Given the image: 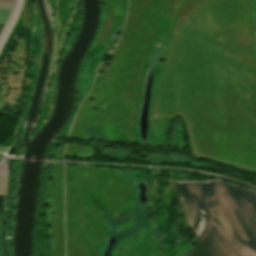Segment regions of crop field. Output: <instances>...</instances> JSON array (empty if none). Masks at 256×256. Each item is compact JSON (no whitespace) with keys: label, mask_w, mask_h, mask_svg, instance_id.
<instances>
[{"label":"crop field","mask_w":256,"mask_h":256,"mask_svg":"<svg viewBox=\"0 0 256 256\" xmlns=\"http://www.w3.org/2000/svg\"><path fill=\"white\" fill-rule=\"evenodd\" d=\"M3 26H4V24H0V32H1L2 28H3Z\"/></svg>","instance_id":"dd49c442"},{"label":"crop field","mask_w":256,"mask_h":256,"mask_svg":"<svg viewBox=\"0 0 256 256\" xmlns=\"http://www.w3.org/2000/svg\"><path fill=\"white\" fill-rule=\"evenodd\" d=\"M0 3L14 4L15 0H0Z\"/></svg>","instance_id":"412701ff"},{"label":"crop field","mask_w":256,"mask_h":256,"mask_svg":"<svg viewBox=\"0 0 256 256\" xmlns=\"http://www.w3.org/2000/svg\"><path fill=\"white\" fill-rule=\"evenodd\" d=\"M0 212H2V195H0Z\"/></svg>","instance_id":"f4fd0767"},{"label":"crop field","mask_w":256,"mask_h":256,"mask_svg":"<svg viewBox=\"0 0 256 256\" xmlns=\"http://www.w3.org/2000/svg\"><path fill=\"white\" fill-rule=\"evenodd\" d=\"M7 250L4 241V230L2 224V213H0V256H6Z\"/></svg>","instance_id":"8a807250"},{"label":"crop field","mask_w":256,"mask_h":256,"mask_svg":"<svg viewBox=\"0 0 256 256\" xmlns=\"http://www.w3.org/2000/svg\"><path fill=\"white\" fill-rule=\"evenodd\" d=\"M12 9L0 8V23H6Z\"/></svg>","instance_id":"34b2d1b8"},{"label":"crop field","mask_w":256,"mask_h":256,"mask_svg":"<svg viewBox=\"0 0 256 256\" xmlns=\"http://www.w3.org/2000/svg\"><path fill=\"white\" fill-rule=\"evenodd\" d=\"M7 164L0 165V194H3V189L6 179Z\"/></svg>","instance_id":"ac0d7876"}]
</instances>
